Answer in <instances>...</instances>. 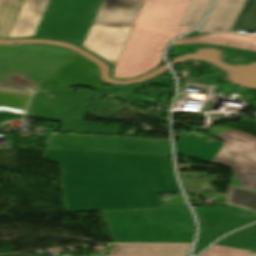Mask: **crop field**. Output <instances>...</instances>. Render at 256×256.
I'll return each mask as SVG.
<instances>
[{
    "label": "crop field",
    "instance_id": "dafd665d",
    "mask_svg": "<svg viewBox=\"0 0 256 256\" xmlns=\"http://www.w3.org/2000/svg\"><path fill=\"white\" fill-rule=\"evenodd\" d=\"M21 46H41V45H7V46H0V47H21ZM43 47H51V48H56V49H60V50H64L67 52H70L72 54H74L75 52L60 48V47H56V46H43Z\"/></svg>",
    "mask_w": 256,
    "mask_h": 256
},
{
    "label": "crop field",
    "instance_id": "d1516ede",
    "mask_svg": "<svg viewBox=\"0 0 256 256\" xmlns=\"http://www.w3.org/2000/svg\"><path fill=\"white\" fill-rule=\"evenodd\" d=\"M191 245H115L108 256H186Z\"/></svg>",
    "mask_w": 256,
    "mask_h": 256
},
{
    "label": "crop field",
    "instance_id": "5a996713",
    "mask_svg": "<svg viewBox=\"0 0 256 256\" xmlns=\"http://www.w3.org/2000/svg\"><path fill=\"white\" fill-rule=\"evenodd\" d=\"M200 222V235L194 254L218 236L256 221V212L226 205V207H194Z\"/></svg>",
    "mask_w": 256,
    "mask_h": 256
},
{
    "label": "crop field",
    "instance_id": "a9b5d70f",
    "mask_svg": "<svg viewBox=\"0 0 256 256\" xmlns=\"http://www.w3.org/2000/svg\"><path fill=\"white\" fill-rule=\"evenodd\" d=\"M0 256H32V255H23V254H14V253H4V254H0Z\"/></svg>",
    "mask_w": 256,
    "mask_h": 256
},
{
    "label": "crop field",
    "instance_id": "3316defc",
    "mask_svg": "<svg viewBox=\"0 0 256 256\" xmlns=\"http://www.w3.org/2000/svg\"><path fill=\"white\" fill-rule=\"evenodd\" d=\"M49 0H25L9 38L33 37Z\"/></svg>",
    "mask_w": 256,
    "mask_h": 256
},
{
    "label": "crop field",
    "instance_id": "e52e79f7",
    "mask_svg": "<svg viewBox=\"0 0 256 256\" xmlns=\"http://www.w3.org/2000/svg\"><path fill=\"white\" fill-rule=\"evenodd\" d=\"M46 149L169 156L170 141L55 134Z\"/></svg>",
    "mask_w": 256,
    "mask_h": 256
},
{
    "label": "crop field",
    "instance_id": "28ad6ade",
    "mask_svg": "<svg viewBox=\"0 0 256 256\" xmlns=\"http://www.w3.org/2000/svg\"><path fill=\"white\" fill-rule=\"evenodd\" d=\"M246 0H217L211 14L200 28L211 31H230Z\"/></svg>",
    "mask_w": 256,
    "mask_h": 256
},
{
    "label": "crop field",
    "instance_id": "d9b57169",
    "mask_svg": "<svg viewBox=\"0 0 256 256\" xmlns=\"http://www.w3.org/2000/svg\"><path fill=\"white\" fill-rule=\"evenodd\" d=\"M215 245L256 251V225L234 233Z\"/></svg>",
    "mask_w": 256,
    "mask_h": 256
},
{
    "label": "crop field",
    "instance_id": "d8731c3e",
    "mask_svg": "<svg viewBox=\"0 0 256 256\" xmlns=\"http://www.w3.org/2000/svg\"><path fill=\"white\" fill-rule=\"evenodd\" d=\"M217 139L225 144L212 163L233 168L231 185L256 191V137L231 129Z\"/></svg>",
    "mask_w": 256,
    "mask_h": 256
},
{
    "label": "crop field",
    "instance_id": "cbeb9de0",
    "mask_svg": "<svg viewBox=\"0 0 256 256\" xmlns=\"http://www.w3.org/2000/svg\"><path fill=\"white\" fill-rule=\"evenodd\" d=\"M223 143L215 140L211 144L193 136H185L179 144H176L177 152L211 163Z\"/></svg>",
    "mask_w": 256,
    "mask_h": 256
},
{
    "label": "crop field",
    "instance_id": "8a807250",
    "mask_svg": "<svg viewBox=\"0 0 256 256\" xmlns=\"http://www.w3.org/2000/svg\"><path fill=\"white\" fill-rule=\"evenodd\" d=\"M42 158L61 166L70 212L163 206L157 193L180 191L169 157L47 150Z\"/></svg>",
    "mask_w": 256,
    "mask_h": 256
},
{
    "label": "crop field",
    "instance_id": "34b2d1b8",
    "mask_svg": "<svg viewBox=\"0 0 256 256\" xmlns=\"http://www.w3.org/2000/svg\"><path fill=\"white\" fill-rule=\"evenodd\" d=\"M89 62L77 53L71 56L36 89L27 116L56 119L62 122L60 131L119 135L122 130L96 129L83 121L92 97L68 95L70 83L105 87L95 82L99 70Z\"/></svg>",
    "mask_w": 256,
    "mask_h": 256
},
{
    "label": "crop field",
    "instance_id": "00972430",
    "mask_svg": "<svg viewBox=\"0 0 256 256\" xmlns=\"http://www.w3.org/2000/svg\"><path fill=\"white\" fill-rule=\"evenodd\" d=\"M188 223H173V226H164L165 228H169V227H181V228H185V232H189L190 233V228L187 227Z\"/></svg>",
    "mask_w": 256,
    "mask_h": 256
},
{
    "label": "crop field",
    "instance_id": "214f88e0",
    "mask_svg": "<svg viewBox=\"0 0 256 256\" xmlns=\"http://www.w3.org/2000/svg\"><path fill=\"white\" fill-rule=\"evenodd\" d=\"M202 256H251V253L212 246Z\"/></svg>",
    "mask_w": 256,
    "mask_h": 256
},
{
    "label": "crop field",
    "instance_id": "22f410ed",
    "mask_svg": "<svg viewBox=\"0 0 256 256\" xmlns=\"http://www.w3.org/2000/svg\"><path fill=\"white\" fill-rule=\"evenodd\" d=\"M183 43L221 44L256 51V36H242L240 34L233 33H216L202 37L186 38L177 41L173 45Z\"/></svg>",
    "mask_w": 256,
    "mask_h": 256
},
{
    "label": "crop field",
    "instance_id": "ac0d7876",
    "mask_svg": "<svg viewBox=\"0 0 256 256\" xmlns=\"http://www.w3.org/2000/svg\"><path fill=\"white\" fill-rule=\"evenodd\" d=\"M190 0H145L114 67L113 77L134 78L157 67L164 46L192 28L179 26Z\"/></svg>",
    "mask_w": 256,
    "mask_h": 256
},
{
    "label": "crop field",
    "instance_id": "5142ce71",
    "mask_svg": "<svg viewBox=\"0 0 256 256\" xmlns=\"http://www.w3.org/2000/svg\"><path fill=\"white\" fill-rule=\"evenodd\" d=\"M24 0H0V37L8 38Z\"/></svg>",
    "mask_w": 256,
    "mask_h": 256
},
{
    "label": "crop field",
    "instance_id": "4a817a6b",
    "mask_svg": "<svg viewBox=\"0 0 256 256\" xmlns=\"http://www.w3.org/2000/svg\"><path fill=\"white\" fill-rule=\"evenodd\" d=\"M251 29L256 31V0H247L231 31Z\"/></svg>",
    "mask_w": 256,
    "mask_h": 256
},
{
    "label": "crop field",
    "instance_id": "f4fd0767",
    "mask_svg": "<svg viewBox=\"0 0 256 256\" xmlns=\"http://www.w3.org/2000/svg\"><path fill=\"white\" fill-rule=\"evenodd\" d=\"M144 0H103L82 46L114 67Z\"/></svg>",
    "mask_w": 256,
    "mask_h": 256
},
{
    "label": "crop field",
    "instance_id": "733c2abd",
    "mask_svg": "<svg viewBox=\"0 0 256 256\" xmlns=\"http://www.w3.org/2000/svg\"><path fill=\"white\" fill-rule=\"evenodd\" d=\"M211 2L212 0H191L180 25L197 27L201 23Z\"/></svg>",
    "mask_w": 256,
    "mask_h": 256
},
{
    "label": "crop field",
    "instance_id": "bc2a9ffb",
    "mask_svg": "<svg viewBox=\"0 0 256 256\" xmlns=\"http://www.w3.org/2000/svg\"><path fill=\"white\" fill-rule=\"evenodd\" d=\"M4 50L30 54L35 56H41L46 58H52L57 60L66 61L72 54H69L64 51L51 49V48H42V47H22V48H0Z\"/></svg>",
    "mask_w": 256,
    "mask_h": 256
},
{
    "label": "crop field",
    "instance_id": "412701ff",
    "mask_svg": "<svg viewBox=\"0 0 256 256\" xmlns=\"http://www.w3.org/2000/svg\"><path fill=\"white\" fill-rule=\"evenodd\" d=\"M115 243H192L194 234L164 229L173 222L194 226L187 206L101 211Z\"/></svg>",
    "mask_w": 256,
    "mask_h": 256
},
{
    "label": "crop field",
    "instance_id": "dd49c442",
    "mask_svg": "<svg viewBox=\"0 0 256 256\" xmlns=\"http://www.w3.org/2000/svg\"><path fill=\"white\" fill-rule=\"evenodd\" d=\"M102 0H50L34 37L81 45Z\"/></svg>",
    "mask_w": 256,
    "mask_h": 256
},
{
    "label": "crop field",
    "instance_id": "92a150f3",
    "mask_svg": "<svg viewBox=\"0 0 256 256\" xmlns=\"http://www.w3.org/2000/svg\"><path fill=\"white\" fill-rule=\"evenodd\" d=\"M256 60V52L239 49L228 60L230 63H245Z\"/></svg>",
    "mask_w": 256,
    "mask_h": 256
}]
</instances>
